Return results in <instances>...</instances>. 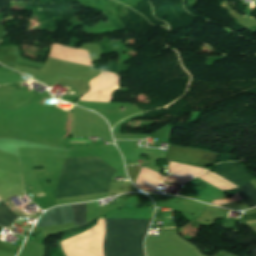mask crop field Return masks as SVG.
<instances>
[{
	"instance_id": "obj_1",
	"label": "crop field",
	"mask_w": 256,
	"mask_h": 256,
	"mask_svg": "<svg viewBox=\"0 0 256 256\" xmlns=\"http://www.w3.org/2000/svg\"><path fill=\"white\" fill-rule=\"evenodd\" d=\"M114 172L116 170L97 157L67 158L59 180L108 175ZM110 176L59 181L56 199L107 192Z\"/></svg>"
},
{
	"instance_id": "obj_2",
	"label": "crop field",
	"mask_w": 256,
	"mask_h": 256,
	"mask_svg": "<svg viewBox=\"0 0 256 256\" xmlns=\"http://www.w3.org/2000/svg\"><path fill=\"white\" fill-rule=\"evenodd\" d=\"M149 223L139 219H107L105 256H143V237Z\"/></svg>"
},
{
	"instance_id": "obj_3",
	"label": "crop field",
	"mask_w": 256,
	"mask_h": 256,
	"mask_svg": "<svg viewBox=\"0 0 256 256\" xmlns=\"http://www.w3.org/2000/svg\"><path fill=\"white\" fill-rule=\"evenodd\" d=\"M216 157L217 154L169 145L164 159L205 169Z\"/></svg>"
},
{
	"instance_id": "obj_4",
	"label": "crop field",
	"mask_w": 256,
	"mask_h": 256,
	"mask_svg": "<svg viewBox=\"0 0 256 256\" xmlns=\"http://www.w3.org/2000/svg\"><path fill=\"white\" fill-rule=\"evenodd\" d=\"M215 167L216 170L213 173L221 176L222 178L237 185L238 187L248 181L250 182L251 180H253L249 173L237 162L220 163L218 165H215ZM213 173L207 170L204 174L210 176L211 178L217 180L218 182L224 184L231 189L236 187Z\"/></svg>"
},
{
	"instance_id": "obj_5",
	"label": "crop field",
	"mask_w": 256,
	"mask_h": 256,
	"mask_svg": "<svg viewBox=\"0 0 256 256\" xmlns=\"http://www.w3.org/2000/svg\"><path fill=\"white\" fill-rule=\"evenodd\" d=\"M73 222L71 205L60 206L46 211L36 227L61 225Z\"/></svg>"
},
{
	"instance_id": "obj_6",
	"label": "crop field",
	"mask_w": 256,
	"mask_h": 256,
	"mask_svg": "<svg viewBox=\"0 0 256 256\" xmlns=\"http://www.w3.org/2000/svg\"><path fill=\"white\" fill-rule=\"evenodd\" d=\"M1 43L2 41L0 42V44ZM19 49V47L11 44L0 48V63L12 68L19 54Z\"/></svg>"
},
{
	"instance_id": "obj_7",
	"label": "crop field",
	"mask_w": 256,
	"mask_h": 256,
	"mask_svg": "<svg viewBox=\"0 0 256 256\" xmlns=\"http://www.w3.org/2000/svg\"><path fill=\"white\" fill-rule=\"evenodd\" d=\"M235 190L241 196L248 208L256 205V190L250 183H247Z\"/></svg>"
},
{
	"instance_id": "obj_8",
	"label": "crop field",
	"mask_w": 256,
	"mask_h": 256,
	"mask_svg": "<svg viewBox=\"0 0 256 256\" xmlns=\"http://www.w3.org/2000/svg\"><path fill=\"white\" fill-rule=\"evenodd\" d=\"M75 228L82 227L86 222V203L72 205Z\"/></svg>"
},
{
	"instance_id": "obj_9",
	"label": "crop field",
	"mask_w": 256,
	"mask_h": 256,
	"mask_svg": "<svg viewBox=\"0 0 256 256\" xmlns=\"http://www.w3.org/2000/svg\"><path fill=\"white\" fill-rule=\"evenodd\" d=\"M17 216H15L4 204V202H0V225L9 227L15 220Z\"/></svg>"
},
{
	"instance_id": "obj_10",
	"label": "crop field",
	"mask_w": 256,
	"mask_h": 256,
	"mask_svg": "<svg viewBox=\"0 0 256 256\" xmlns=\"http://www.w3.org/2000/svg\"><path fill=\"white\" fill-rule=\"evenodd\" d=\"M19 249H20L19 246L11 245L6 242L0 241V251L9 252V253H13L16 255V253L19 251Z\"/></svg>"
},
{
	"instance_id": "obj_11",
	"label": "crop field",
	"mask_w": 256,
	"mask_h": 256,
	"mask_svg": "<svg viewBox=\"0 0 256 256\" xmlns=\"http://www.w3.org/2000/svg\"><path fill=\"white\" fill-rule=\"evenodd\" d=\"M126 169L131 181L134 183L141 168L126 167Z\"/></svg>"
},
{
	"instance_id": "obj_12",
	"label": "crop field",
	"mask_w": 256,
	"mask_h": 256,
	"mask_svg": "<svg viewBox=\"0 0 256 256\" xmlns=\"http://www.w3.org/2000/svg\"><path fill=\"white\" fill-rule=\"evenodd\" d=\"M244 218H245V221L254 220L256 219V214L246 215L244 216Z\"/></svg>"
},
{
	"instance_id": "obj_13",
	"label": "crop field",
	"mask_w": 256,
	"mask_h": 256,
	"mask_svg": "<svg viewBox=\"0 0 256 256\" xmlns=\"http://www.w3.org/2000/svg\"><path fill=\"white\" fill-rule=\"evenodd\" d=\"M4 35H5V32L2 28V26H0V39H2L4 37Z\"/></svg>"
},
{
	"instance_id": "obj_14",
	"label": "crop field",
	"mask_w": 256,
	"mask_h": 256,
	"mask_svg": "<svg viewBox=\"0 0 256 256\" xmlns=\"http://www.w3.org/2000/svg\"><path fill=\"white\" fill-rule=\"evenodd\" d=\"M43 195H45V194L36 195V197L43 196Z\"/></svg>"
},
{
	"instance_id": "obj_15",
	"label": "crop field",
	"mask_w": 256,
	"mask_h": 256,
	"mask_svg": "<svg viewBox=\"0 0 256 256\" xmlns=\"http://www.w3.org/2000/svg\"><path fill=\"white\" fill-rule=\"evenodd\" d=\"M2 230V228L0 227V231Z\"/></svg>"
},
{
	"instance_id": "obj_16",
	"label": "crop field",
	"mask_w": 256,
	"mask_h": 256,
	"mask_svg": "<svg viewBox=\"0 0 256 256\" xmlns=\"http://www.w3.org/2000/svg\"><path fill=\"white\" fill-rule=\"evenodd\" d=\"M168 228H174V227H168Z\"/></svg>"
}]
</instances>
